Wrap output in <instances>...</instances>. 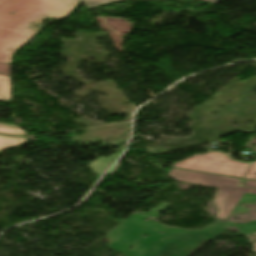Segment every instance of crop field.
I'll use <instances>...</instances> for the list:
<instances>
[{
	"mask_svg": "<svg viewBox=\"0 0 256 256\" xmlns=\"http://www.w3.org/2000/svg\"><path fill=\"white\" fill-rule=\"evenodd\" d=\"M124 164L118 162L117 165L110 171L107 176H112L119 168H121Z\"/></svg>",
	"mask_w": 256,
	"mask_h": 256,
	"instance_id": "14",
	"label": "crop field"
},
{
	"mask_svg": "<svg viewBox=\"0 0 256 256\" xmlns=\"http://www.w3.org/2000/svg\"><path fill=\"white\" fill-rule=\"evenodd\" d=\"M11 77L0 76V100L10 101ZM1 126L16 127L9 124H1ZM18 128V127H17Z\"/></svg>",
	"mask_w": 256,
	"mask_h": 256,
	"instance_id": "7",
	"label": "crop field"
},
{
	"mask_svg": "<svg viewBox=\"0 0 256 256\" xmlns=\"http://www.w3.org/2000/svg\"><path fill=\"white\" fill-rule=\"evenodd\" d=\"M168 204L169 203H162V204L158 205L157 207L151 209L150 211H148L146 213L141 212L140 214H145V215L156 217V216H158L160 214V213H157V212L160 211L161 209H163Z\"/></svg>",
	"mask_w": 256,
	"mask_h": 256,
	"instance_id": "10",
	"label": "crop field"
},
{
	"mask_svg": "<svg viewBox=\"0 0 256 256\" xmlns=\"http://www.w3.org/2000/svg\"><path fill=\"white\" fill-rule=\"evenodd\" d=\"M12 65L0 64V75L11 76Z\"/></svg>",
	"mask_w": 256,
	"mask_h": 256,
	"instance_id": "11",
	"label": "crop field"
},
{
	"mask_svg": "<svg viewBox=\"0 0 256 256\" xmlns=\"http://www.w3.org/2000/svg\"><path fill=\"white\" fill-rule=\"evenodd\" d=\"M0 132L26 136V132H24L21 129H17V128H9V127H1L0 126Z\"/></svg>",
	"mask_w": 256,
	"mask_h": 256,
	"instance_id": "9",
	"label": "crop field"
},
{
	"mask_svg": "<svg viewBox=\"0 0 256 256\" xmlns=\"http://www.w3.org/2000/svg\"><path fill=\"white\" fill-rule=\"evenodd\" d=\"M168 175L177 181L219 188L214 197V203L219 208L218 219H226L235 212L245 213L248 209L240 207V203H254L256 201V189L236 187L240 180L237 178L175 169H171ZM244 186L256 188V182L247 180ZM221 225L223 228L235 226L239 229V234H256V221L247 224H233L231 221H227ZM253 246V251L256 252V243H253Z\"/></svg>",
	"mask_w": 256,
	"mask_h": 256,
	"instance_id": "3",
	"label": "crop field"
},
{
	"mask_svg": "<svg viewBox=\"0 0 256 256\" xmlns=\"http://www.w3.org/2000/svg\"><path fill=\"white\" fill-rule=\"evenodd\" d=\"M122 149L123 148H119L117 153L109 155L107 158L104 156L100 157L99 159L89 164V167L93 171L101 175L106 170V168L114 161V159L121 153Z\"/></svg>",
	"mask_w": 256,
	"mask_h": 256,
	"instance_id": "6",
	"label": "crop field"
},
{
	"mask_svg": "<svg viewBox=\"0 0 256 256\" xmlns=\"http://www.w3.org/2000/svg\"><path fill=\"white\" fill-rule=\"evenodd\" d=\"M248 165V163L231 161L228 157L214 152L207 155H193L176 163L174 167L242 177Z\"/></svg>",
	"mask_w": 256,
	"mask_h": 256,
	"instance_id": "4",
	"label": "crop field"
},
{
	"mask_svg": "<svg viewBox=\"0 0 256 256\" xmlns=\"http://www.w3.org/2000/svg\"><path fill=\"white\" fill-rule=\"evenodd\" d=\"M203 1H207V2H211V3H213V4H216V2H217L218 0H203Z\"/></svg>",
	"mask_w": 256,
	"mask_h": 256,
	"instance_id": "15",
	"label": "crop field"
},
{
	"mask_svg": "<svg viewBox=\"0 0 256 256\" xmlns=\"http://www.w3.org/2000/svg\"><path fill=\"white\" fill-rule=\"evenodd\" d=\"M79 0H0V63L11 64L12 54L41 29L46 17L63 18Z\"/></svg>",
	"mask_w": 256,
	"mask_h": 256,
	"instance_id": "1",
	"label": "crop field"
},
{
	"mask_svg": "<svg viewBox=\"0 0 256 256\" xmlns=\"http://www.w3.org/2000/svg\"><path fill=\"white\" fill-rule=\"evenodd\" d=\"M244 178L256 180V163L252 164Z\"/></svg>",
	"mask_w": 256,
	"mask_h": 256,
	"instance_id": "12",
	"label": "crop field"
},
{
	"mask_svg": "<svg viewBox=\"0 0 256 256\" xmlns=\"http://www.w3.org/2000/svg\"><path fill=\"white\" fill-rule=\"evenodd\" d=\"M141 215L133 214L106 235L110 240L112 250L125 256H165L162 253L174 241L197 235L210 240L225 229L218 223L206 226L203 230H185L170 226H162L153 222H143ZM160 231L164 234L159 233ZM146 233L147 238L140 237ZM131 245H135L131 250Z\"/></svg>",
	"mask_w": 256,
	"mask_h": 256,
	"instance_id": "2",
	"label": "crop field"
},
{
	"mask_svg": "<svg viewBox=\"0 0 256 256\" xmlns=\"http://www.w3.org/2000/svg\"><path fill=\"white\" fill-rule=\"evenodd\" d=\"M26 138L0 135V151L18 146L26 142Z\"/></svg>",
	"mask_w": 256,
	"mask_h": 256,
	"instance_id": "8",
	"label": "crop field"
},
{
	"mask_svg": "<svg viewBox=\"0 0 256 256\" xmlns=\"http://www.w3.org/2000/svg\"><path fill=\"white\" fill-rule=\"evenodd\" d=\"M204 243L206 241L192 236L172 243L163 254L167 256H188Z\"/></svg>",
	"mask_w": 256,
	"mask_h": 256,
	"instance_id": "5",
	"label": "crop field"
},
{
	"mask_svg": "<svg viewBox=\"0 0 256 256\" xmlns=\"http://www.w3.org/2000/svg\"><path fill=\"white\" fill-rule=\"evenodd\" d=\"M88 8L94 7L97 4H101L108 1H114V0H82Z\"/></svg>",
	"mask_w": 256,
	"mask_h": 256,
	"instance_id": "13",
	"label": "crop field"
}]
</instances>
